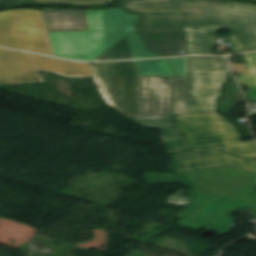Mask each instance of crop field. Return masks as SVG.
I'll return each instance as SVG.
<instances>
[{"label": "crop field", "instance_id": "23", "mask_svg": "<svg viewBox=\"0 0 256 256\" xmlns=\"http://www.w3.org/2000/svg\"><path fill=\"white\" fill-rule=\"evenodd\" d=\"M231 66H232L233 71L236 72L237 74L248 73L244 63L235 64V65H231Z\"/></svg>", "mask_w": 256, "mask_h": 256}, {"label": "crop field", "instance_id": "6", "mask_svg": "<svg viewBox=\"0 0 256 256\" xmlns=\"http://www.w3.org/2000/svg\"><path fill=\"white\" fill-rule=\"evenodd\" d=\"M184 186L256 202V174L222 166L177 173Z\"/></svg>", "mask_w": 256, "mask_h": 256}, {"label": "crop field", "instance_id": "21", "mask_svg": "<svg viewBox=\"0 0 256 256\" xmlns=\"http://www.w3.org/2000/svg\"><path fill=\"white\" fill-rule=\"evenodd\" d=\"M192 198H193V190L189 189L188 197L170 196L168 197V200L166 201V203L186 205L184 209L181 211V213L178 215V218H180L184 214V212L187 210V208L192 204Z\"/></svg>", "mask_w": 256, "mask_h": 256}, {"label": "crop field", "instance_id": "19", "mask_svg": "<svg viewBox=\"0 0 256 256\" xmlns=\"http://www.w3.org/2000/svg\"><path fill=\"white\" fill-rule=\"evenodd\" d=\"M187 77H176L174 87V114L184 113Z\"/></svg>", "mask_w": 256, "mask_h": 256}, {"label": "crop field", "instance_id": "3", "mask_svg": "<svg viewBox=\"0 0 256 256\" xmlns=\"http://www.w3.org/2000/svg\"><path fill=\"white\" fill-rule=\"evenodd\" d=\"M174 116L191 149L223 144L230 155L246 159L256 157V142H239L240 136L221 115L200 113Z\"/></svg>", "mask_w": 256, "mask_h": 256}, {"label": "crop field", "instance_id": "16", "mask_svg": "<svg viewBox=\"0 0 256 256\" xmlns=\"http://www.w3.org/2000/svg\"><path fill=\"white\" fill-rule=\"evenodd\" d=\"M139 76H174L167 59L135 61Z\"/></svg>", "mask_w": 256, "mask_h": 256}, {"label": "crop field", "instance_id": "12", "mask_svg": "<svg viewBox=\"0 0 256 256\" xmlns=\"http://www.w3.org/2000/svg\"><path fill=\"white\" fill-rule=\"evenodd\" d=\"M136 80L140 116L172 114V77L136 76Z\"/></svg>", "mask_w": 256, "mask_h": 256}, {"label": "crop field", "instance_id": "7", "mask_svg": "<svg viewBox=\"0 0 256 256\" xmlns=\"http://www.w3.org/2000/svg\"><path fill=\"white\" fill-rule=\"evenodd\" d=\"M0 45L53 55L40 11L0 12Z\"/></svg>", "mask_w": 256, "mask_h": 256}, {"label": "crop field", "instance_id": "27", "mask_svg": "<svg viewBox=\"0 0 256 256\" xmlns=\"http://www.w3.org/2000/svg\"><path fill=\"white\" fill-rule=\"evenodd\" d=\"M111 2V0H98L97 3H108Z\"/></svg>", "mask_w": 256, "mask_h": 256}, {"label": "crop field", "instance_id": "8", "mask_svg": "<svg viewBox=\"0 0 256 256\" xmlns=\"http://www.w3.org/2000/svg\"><path fill=\"white\" fill-rule=\"evenodd\" d=\"M92 69L109 103L127 116H139L133 62L93 63Z\"/></svg>", "mask_w": 256, "mask_h": 256}, {"label": "crop field", "instance_id": "2", "mask_svg": "<svg viewBox=\"0 0 256 256\" xmlns=\"http://www.w3.org/2000/svg\"><path fill=\"white\" fill-rule=\"evenodd\" d=\"M89 31L50 32L58 57L93 61L127 35L133 58L164 57L147 51L134 25L140 15L119 8L85 10Z\"/></svg>", "mask_w": 256, "mask_h": 256}, {"label": "crop field", "instance_id": "25", "mask_svg": "<svg viewBox=\"0 0 256 256\" xmlns=\"http://www.w3.org/2000/svg\"><path fill=\"white\" fill-rule=\"evenodd\" d=\"M35 0H4L3 4H12V3H19V2H30Z\"/></svg>", "mask_w": 256, "mask_h": 256}, {"label": "crop field", "instance_id": "20", "mask_svg": "<svg viewBox=\"0 0 256 256\" xmlns=\"http://www.w3.org/2000/svg\"><path fill=\"white\" fill-rule=\"evenodd\" d=\"M144 179L148 184L178 182L175 174H160V173L145 172Z\"/></svg>", "mask_w": 256, "mask_h": 256}, {"label": "crop field", "instance_id": "9", "mask_svg": "<svg viewBox=\"0 0 256 256\" xmlns=\"http://www.w3.org/2000/svg\"><path fill=\"white\" fill-rule=\"evenodd\" d=\"M239 207L256 210V203L195 190L194 204L178 224L196 230L212 227L225 234L230 231V224L233 223L230 216Z\"/></svg>", "mask_w": 256, "mask_h": 256}, {"label": "crop field", "instance_id": "22", "mask_svg": "<svg viewBox=\"0 0 256 256\" xmlns=\"http://www.w3.org/2000/svg\"><path fill=\"white\" fill-rule=\"evenodd\" d=\"M177 76H187L186 57L170 59Z\"/></svg>", "mask_w": 256, "mask_h": 256}, {"label": "crop field", "instance_id": "15", "mask_svg": "<svg viewBox=\"0 0 256 256\" xmlns=\"http://www.w3.org/2000/svg\"><path fill=\"white\" fill-rule=\"evenodd\" d=\"M147 49L165 55H185L183 33H140ZM179 51L184 53L179 54Z\"/></svg>", "mask_w": 256, "mask_h": 256}, {"label": "crop field", "instance_id": "28", "mask_svg": "<svg viewBox=\"0 0 256 256\" xmlns=\"http://www.w3.org/2000/svg\"><path fill=\"white\" fill-rule=\"evenodd\" d=\"M2 0H0V6H1Z\"/></svg>", "mask_w": 256, "mask_h": 256}, {"label": "crop field", "instance_id": "13", "mask_svg": "<svg viewBox=\"0 0 256 256\" xmlns=\"http://www.w3.org/2000/svg\"><path fill=\"white\" fill-rule=\"evenodd\" d=\"M139 126L143 128H155L163 136L160 138L170 153L185 151L188 145L175 124L172 115L131 117Z\"/></svg>", "mask_w": 256, "mask_h": 256}, {"label": "crop field", "instance_id": "18", "mask_svg": "<svg viewBox=\"0 0 256 256\" xmlns=\"http://www.w3.org/2000/svg\"><path fill=\"white\" fill-rule=\"evenodd\" d=\"M132 58L127 37L125 36L106 52L96 58L94 61L112 60V59H126Z\"/></svg>", "mask_w": 256, "mask_h": 256}, {"label": "crop field", "instance_id": "11", "mask_svg": "<svg viewBox=\"0 0 256 256\" xmlns=\"http://www.w3.org/2000/svg\"><path fill=\"white\" fill-rule=\"evenodd\" d=\"M175 172L229 165L256 173V159L245 160L228 156L223 147L194 149L174 155Z\"/></svg>", "mask_w": 256, "mask_h": 256}, {"label": "crop field", "instance_id": "5", "mask_svg": "<svg viewBox=\"0 0 256 256\" xmlns=\"http://www.w3.org/2000/svg\"><path fill=\"white\" fill-rule=\"evenodd\" d=\"M185 113L215 112L220 86L229 71L225 58L187 57Z\"/></svg>", "mask_w": 256, "mask_h": 256}, {"label": "crop field", "instance_id": "26", "mask_svg": "<svg viewBox=\"0 0 256 256\" xmlns=\"http://www.w3.org/2000/svg\"><path fill=\"white\" fill-rule=\"evenodd\" d=\"M242 50L251 51V50H255V47H252V48H245V49H237V50H234L233 52H238V51H242Z\"/></svg>", "mask_w": 256, "mask_h": 256}, {"label": "crop field", "instance_id": "10", "mask_svg": "<svg viewBox=\"0 0 256 256\" xmlns=\"http://www.w3.org/2000/svg\"><path fill=\"white\" fill-rule=\"evenodd\" d=\"M116 6L141 14L138 32H184V15L175 0H120Z\"/></svg>", "mask_w": 256, "mask_h": 256}, {"label": "crop field", "instance_id": "1", "mask_svg": "<svg viewBox=\"0 0 256 256\" xmlns=\"http://www.w3.org/2000/svg\"><path fill=\"white\" fill-rule=\"evenodd\" d=\"M185 15V50L211 54L213 37L222 28L232 34L230 48L256 46V5L220 0H176Z\"/></svg>", "mask_w": 256, "mask_h": 256}, {"label": "crop field", "instance_id": "4", "mask_svg": "<svg viewBox=\"0 0 256 256\" xmlns=\"http://www.w3.org/2000/svg\"><path fill=\"white\" fill-rule=\"evenodd\" d=\"M66 77H90L89 63H77L35 54L0 49V84L42 81L37 71Z\"/></svg>", "mask_w": 256, "mask_h": 256}, {"label": "crop field", "instance_id": "24", "mask_svg": "<svg viewBox=\"0 0 256 256\" xmlns=\"http://www.w3.org/2000/svg\"><path fill=\"white\" fill-rule=\"evenodd\" d=\"M36 1H63V2H75V3H96L97 0H36Z\"/></svg>", "mask_w": 256, "mask_h": 256}, {"label": "crop field", "instance_id": "14", "mask_svg": "<svg viewBox=\"0 0 256 256\" xmlns=\"http://www.w3.org/2000/svg\"><path fill=\"white\" fill-rule=\"evenodd\" d=\"M47 31L88 30L84 9H41Z\"/></svg>", "mask_w": 256, "mask_h": 256}, {"label": "crop field", "instance_id": "17", "mask_svg": "<svg viewBox=\"0 0 256 256\" xmlns=\"http://www.w3.org/2000/svg\"><path fill=\"white\" fill-rule=\"evenodd\" d=\"M249 74L237 75L239 83H245L250 101H256V53L242 55Z\"/></svg>", "mask_w": 256, "mask_h": 256}]
</instances>
